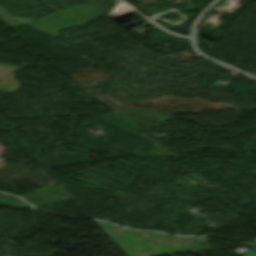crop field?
Returning a JSON list of instances; mask_svg holds the SVG:
<instances>
[{
  "instance_id": "8a807250",
  "label": "crop field",
  "mask_w": 256,
  "mask_h": 256,
  "mask_svg": "<svg viewBox=\"0 0 256 256\" xmlns=\"http://www.w3.org/2000/svg\"><path fill=\"white\" fill-rule=\"evenodd\" d=\"M244 256H256V253H254V252H249V253L245 254Z\"/></svg>"
}]
</instances>
